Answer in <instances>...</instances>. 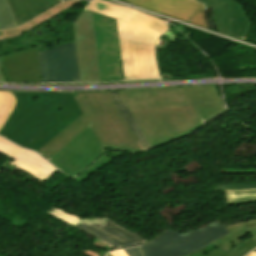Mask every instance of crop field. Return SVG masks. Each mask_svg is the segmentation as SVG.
<instances>
[{
    "label": "crop field",
    "instance_id": "crop-field-14",
    "mask_svg": "<svg viewBox=\"0 0 256 256\" xmlns=\"http://www.w3.org/2000/svg\"><path fill=\"white\" fill-rule=\"evenodd\" d=\"M0 59L7 82H42L37 48Z\"/></svg>",
    "mask_w": 256,
    "mask_h": 256
},
{
    "label": "crop field",
    "instance_id": "crop-field-28",
    "mask_svg": "<svg viewBox=\"0 0 256 256\" xmlns=\"http://www.w3.org/2000/svg\"><path fill=\"white\" fill-rule=\"evenodd\" d=\"M254 202H256V200L238 201V202H231L227 204L228 206H231V205L247 204V203H254Z\"/></svg>",
    "mask_w": 256,
    "mask_h": 256
},
{
    "label": "crop field",
    "instance_id": "crop-field-32",
    "mask_svg": "<svg viewBox=\"0 0 256 256\" xmlns=\"http://www.w3.org/2000/svg\"><path fill=\"white\" fill-rule=\"evenodd\" d=\"M0 82H6L5 77L3 76L1 62H0Z\"/></svg>",
    "mask_w": 256,
    "mask_h": 256
},
{
    "label": "crop field",
    "instance_id": "crop-field-4",
    "mask_svg": "<svg viewBox=\"0 0 256 256\" xmlns=\"http://www.w3.org/2000/svg\"><path fill=\"white\" fill-rule=\"evenodd\" d=\"M74 95L14 92L17 104L0 135L16 144Z\"/></svg>",
    "mask_w": 256,
    "mask_h": 256
},
{
    "label": "crop field",
    "instance_id": "crop-field-2",
    "mask_svg": "<svg viewBox=\"0 0 256 256\" xmlns=\"http://www.w3.org/2000/svg\"><path fill=\"white\" fill-rule=\"evenodd\" d=\"M87 9L117 19L124 81L159 78L154 43L168 28L166 22L101 0H93Z\"/></svg>",
    "mask_w": 256,
    "mask_h": 256
},
{
    "label": "crop field",
    "instance_id": "crop-field-23",
    "mask_svg": "<svg viewBox=\"0 0 256 256\" xmlns=\"http://www.w3.org/2000/svg\"><path fill=\"white\" fill-rule=\"evenodd\" d=\"M17 26L6 0H0V30Z\"/></svg>",
    "mask_w": 256,
    "mask_h": 256
},
{
    "label": "crop field",
    "instance_id": "crop-field-26",
    "mask_svg": "<svg viewBox=\"0 0 256 256\" xmlns=\"http://www.w3.org/2000/svg\"><path fill=\"white\" fill-rule=\"evenodd\" d=\"M256 188V183L215 185L213 190H241Z\"/></svg>",
    "mask_w": 256,
    "mask_h": 256
},
{
    "label": "crop field",
    "instance_id": "crop-field-24",
    "mask_svg": "<svg viewBox=\"0 0 256 256\" xmlns=\"http://www.w3.org/2000/svg\"><path fill=\"white\" fill-rule=\"evenodd\" d=\"M46 213L71 225V226L74 223H76L78 220L81 219V218H79L71 213H68L60 208H57L55 206L53 208L49 209L48 211H46Z\"/></svg>",
    "mask_w": 256,
    "mask_h": 256
},
{
    "label": "crop field",
    "instance_id": "crop-field-10",
    "mask_svg": "<svg viewBox=\"0 0 256 256\" xmlns=\"http://www.w3.org/2000/svg\"><path fill=\"white\" fill-rule=\"evenodd\" d=\"M73 227L117 249L142 246L148 242L107 217L81 219Z\"/></svg>",
    "mask_w": 256,
    "mask_h": 256
},
{
    "label": "crop field",
    "instance_id": "crop-field-15",
    "mask_svg": "<svg viewBox=\"0 0 256 256\" xmlns=\"http://www.w3.org/2000/svg\"><path fill=\"white\" fill-rule=\"evenodd\" d=\"M0 152L13 160L9 164L29 173L43 181L57 169L39 157L35 152L21 149L15 144L0 137Z\"/></svg>",
    "mask_w": 256,
    "mask_h": 256
},
{
    "label": "crop field",
    "instance_id": "crop-field-11",
    "mask_svg": "<svg viewBox=\"0 0 256 256\" xmlns=\"http://www.w3.org/2000/svg\"><path fill=\"white\" fill-rule=\"evenodd\" d=\"M82 114L73 97L17 144L37 151Z\"/></svg>",
    "mask_w": 256,
    "mask_h": 256
},
{
    "label": "crop field",
    "instance_id": "crop-field-27",
    "mask_svg": "<svg viewBox=\"0 0 256 256\" xmlns=\"http://www.w3.org/2000/svg\"><path fill=\"white\" fill-rule=\"evenodd\" d=\"M125 252L128 256H143L139 247L134 249H127Z\"/></svg>",
    "mask_w": 256,
    "mask_h": 256
},
{
    "label": "crop field",
    "instance_id": "crop-field-9",
    "mask_svg": "<svg viewBox=\"0 0 256 256\" xmlns=\"http://www.w3.org/2000/svg\"><path fill=\"white\" fill-rule=\"evenodd\" d=\"M39 58L43 83L79 82L74 40L40 51Z\"/></svg>",
    "mask_w": 256,
    "mask_h": 256
},
{
    "label": "crop field",
    "instance_id": "crop-field-34",
    "mask_svg": "<svg viewBox=\"0 0 256 256\" xmlns=\"http://www.w3.org/2000/svg\"><path fill=\"white\" fill-rule=\"evenodd\" d=\"M107 256H112L110 253H108V255Z\"/></svg>",
    "mask_w": 256,
    "mask_h": 256
},
{
    "label": "crop field",
    "instance_id": "crop-field-17",
    "mask_svg": "<svg viewBox=\"0 0 256 256\" xmlns=\"http://www.w3.org/2000/svg\"><path fill=\"white\" fill-rule=\"evenodd\" d=\"M13 15L18 23H23L38 16L40 13L48 10L58 4L59 0H7Z\"/></svg>",
    "mask_w": 256,
    "mask_h": 256
},
{
    "label": "crop field",
    "instance_id": "crop-field-22",
    "mask_svg": "<svg viewBox=\"0 0 256 256\" xmlns=\"http://www.w3.org/2000/svg\"><path fill=\"white\" fill-rule=\"evenodd\" d=\"M16 100L11 92H0V129L3 127L15 106Z\"/></svg>",
    "mask_w": 256,
    "mask_h": 256
},
{
    "label": "crop field",
    "instance_id": "crop-field-12",
    "mask_svg": "<svg viewBox=\"0 0 256 256\" xmlns=\"http://www.w3.org/2000/svg\"><path fill=\"white\" fill-rule=\"evenodd\" d=\"M212 8L217 30L225 35L244 40L252 25L239 3L233 0H197Z\"/></svg>",
    "mask_w": 256,
    "mask_h": 256
},
{
    "label": "crop field",
    "instance_id": "crop-field-25",
    "mask_svg": "<svg viewBox=\"0 0 256 256\" xmlns=\"http://www.w3.org/2000/svg\"><path fill=\"white\" fill-rule=\"evenodd\" d=\"M256 199V189L242 191H226V202Z\"/></svg>",
    "mask_w": 256,
    "mask_h": 256
},
{
    "label": "crop field",
    "instance_id": "crop-field-30",
    "mask_svg": "<svg viewBox=\"0 0 256 256\" xmlns=\"http://www.w3.org/2000/svg\"><path fill=\"white\" fill-rule=\"evenodd\" d=\"M206 254L202 251V249L198 250V251H195L191 254H188L186 256H205Z\"/></svg>",
    "mask_w": 256,
    "mask_h": 256
},
{
    "label": "crop field",
    "instance_id": "crop-field-3",
    "mask_svg": "<svg viewBox=\"0 0 256 256\" xmlns=\"http://www.w3.org/2000/svg\"><path fill=\"white\" fill-rule=\"evenodd\" d=\"M74 97L84 114L37 151L46 160L89 125L103 148L140 151L107 92L78 93Z\"/></svg>",
    "mask_w": 256,
    "mask_h": 256
},
{
    "label": "crop field",
    "instance_id": "crop-field-6",
    "mask_svg": "<svg viewBox=\"0 0 256 256\" xmlns=\"http://www.w3.org/2000/svg\"><path fill=\"white\" fill-rule=\"evenodd\" d=\"M93 17L101 82L123 81L116 21L94 12Z\"/></svg>",
    "mask_w": 256,
    "mask_h": 256
},
{
    "label": "crop field",
    "instance_id": "crop-field-16",
    "mask_svg": "<svg viewBox=\"0 0 256 256\" xmlns=\"http://www.w3.org/2000/svg\"><path fill=\"white\" fill-rule=\"evenodd\" d=\"M203 125L227 111L214 87H183Z\"/></svg>",
    "mask_w": 256,
    "mask_h": 256
},
{
    "label": "crop field",
    "instance_id": "crop-field-5",
    "mask_svg": "<svg viewBox=\"0 0 256 256\" xmlns=\"http://www.w3.org/2000/svg\"><path fill=\"white\" fill-rule=\"evenodd\" d=\"M230 233L219 220L198 230L181 235L168 230L150 243L142 246L144 256H183Z\"/></svg>",
    "mask_w": 256,
    "mask_h": 256
},
{
    "label": "crop field",
    "instance_id": "crop-field-8",
    "mask_svg": "<svg viewBox=\"0 0 256 256\" xmlns=\"http://www.w3.org/2000/svg\"><path fill=\"white\" fill-rule=\"evenodd\" d=\"M73 26L80 82H100L92 12L84 10Z\"/></svg>",
    "mask_w": 256,
    "mask_h": 256
},
{
    "label": "crop field",
    "instance_id": "crop-field-13",
    "mask_svg": "<svg viewBox=\"0 0 256 256\" xmlns=\"http://www.w3.org/2000/svg\"><path fill=\"white\" fill-rule=\"evenodd\" d=\"M133 5L208 29L204 5L191 0H124Z\"/></svg>",
    "mask_w": 256,
    "mask_h": 256
},
{
    "label": "crop field",
    "instance_id": "crop-field-29",
    "mask_svg": "<svg viewBox=\"0 0 256 256\" xmlns=\"http://www.w3.org/2000/svg\"><path fill=\"white\" fill-rule=\"evenodd\" d=\"M217 249V247L214 244H210L207 247L203 248V251L207 254L213 250Z\"/></svg>",
    "mask_w": 256,
    "mask_h": 256
},
{
    "label": "crop field",
    "instance_id": "crop-field-20",
    "mask_svg": "<svg viewBox=\"0 0 256 256\" xmlns=\"http://www.w3.org/2000/svg\"><path fill=\"white\" fill-rule=\"evenodd\" d=\"M78 1H80V0L64 1L20 28L1 31L2 35H0V39L14 37L19 34L26 33L29 29L41 24L42 22L46 21L47 19L51 18L52 16L62 12L66 8L76 4Z\"/></svg>",
    "mask_w": 256,
    "mask_h": 256
},
{
    "label": "crop field",
    "instance_id": "crop-field-7",
    "mask_svg": "<svg viewBox=\"0 0 256 256\" xmlns=\"http://www.w3.org/2000/svg\"><path fill=\"white\" fill-rule=\"evenodd\" d=\"M103 148L90 126L48 159L59 170L75 177L102 152Z\"/></svg>",
    "mask_w": 256,
    "mask_h": 256
},
{
    "label": "crop field",
    "instance_id": "crop-field-1",
    "mask_svg": "<svg viewBox=\"0 0 256 256\" xmlns=\"http://www.w3.org/2000/svg\"><path fill=\"white\" fill-rule=\"evenodd\" d=\"M152 148L203 126L181 87L119 91Z\"/></svg>",
    "mask_w": 256,
    "mask_h": 256
},
{
    "label": "crop field",
    "instance_id": "crop-field-18",
    "mask_svg": "<svg viewBox=\"0 0 256 256\" xmlns=\"http://www.w3.org/2000/svg\"><path fill=\"white\" fill-rule=\"evenodd\" d=\"M110 98L112 99L113 103L115 104L117 110L119 111L121 117L123 118L124 122L126 123L128 129L134 136L135 140L139 144L142 151L151 149L150 144L148 143L146 137L144 136L143 132L141 131L140 127L138 126L136 120L134 119L133 115L126 107L124 102L122 101L118 91L108 92Z\"/></svg>",
    "mask_w": 256,
    "mask_h": 256
},
{
    "label": "crop field",
    "instance_id": "crop-field-33",
    "mask_svg": "<svg viewBox=\"0 0 256 256\" xmlns=\"http://www.w3.org/2000/svg\"><path fill=\"white\" fill-rule=\"evenodd\" d=\"M246 256H256V250L252 251L251 253H249L248 255Z\"/></svg>",
    "mask_w": 256,
    "mask_h": 256
},
{
    "label": "crop field",
    "instance_id": "crop-field-19",
    "mask_svg": "<svg viewBox=\"0 0 256 256\" xmlns=\"http://www.w3.org/2000/svg\"><path fill=\"white\" fill-rule=\"evenodd\" d=\"M255 227L256 221L228 225L226 228L231 233L213 243L217 245L220 250L226 253L240 242H242L244 239L250 237L251 235L247 232L252 231V228Z\"/></svg>",
    "mask_w": 256,
    "mask_h": 256
},
{
    "label": "crop field",
    "instance_id": "crop-field-35",
    "mask_svg": "<svg viewBox=\"0 0 256 256\" xmlns=\"http://www.w3.org/2000/svg\"><path fill=\"white\" fill-rule=\"evenodd\" d=\"M196 1V0H195Z\"/></svg>",
    "mask_w": 256,
    "mask_h": 256
},
{
    "label": "crop field",
    "instance_id": "crop-field-21",
    "mask_svg": "<svg viewBox=\"0 0 256 256\" xmlns=\"http://www.w3.org/2000/svg\"><path fill=\"white\" fill-rule=\"evenodd\" d=\"M252 237L244 240L242 243H240L238 246L230 250L228 253H223L219 249L207 254V256H243L247 252H249L251 249L256 247V228L254 231L249 232Z\"/></svg>",
    "mask_w": 256,
    "mask_h": 256
},
{
    "label": "crop field",
    "instance_id": "crop-field-31",
    "mask_svg": "<svg viewBox=\"0 0 256 256\" xmlns=\"http://www.w3.org/2000/svg\"><path fill=\"white\" fill-rule=\"evenodd\" d=\"M110 253H111L113 256H127L123 250H122V251L110 252Z\"/></svg>",
    "mask_w": 256,
    "mask_h": 256
}]
</instances>
